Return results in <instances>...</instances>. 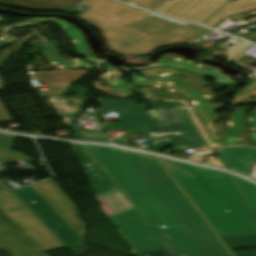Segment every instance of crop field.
Listing matches in <instances>:
<instances>
[{"label":"crop field","instance_id":"obj_1","mask_svg":"<svg viewBox=\"0 0 256 256\" xmlns=\"http://www.w3.org/2000/svg\"><path fill=\"white\" fill-rule=\"evenodd\" d=\"M92 9L79 17L104 28L109 47L122 53L148 54L154 47L206 36L214 31L121 5L109 0L84 2Z\"/></svg>","mask_w":256,"mask_h":256},{"label":"crop field","instance_id":"obj_2","mask_svg":"<svg viewBox=\"0 0 256 256\" xmlns=\"http://www.w3.org/2000/svg\"><path fill=\"white\" fill-rule=\"evenodd\" d=\"M158 158L219 236L256 234V219L226 173Z\"/></svg>","mask_w":256,"mask_h":256},{"label":"crop field","instance_id":"obj_3","mask_svg":"<svg viewBox=\"0 0 256 256\" xmlns=\"http://www.w3.org/2000/svg\"><path fill=\"white\" fill-rule=\"evenodd\" d=\"M83 147L181 256H209L120 149ZM163 225L167 228L162 229Z\"/></svg>","mask_w":256,"mask_h":256},{"label":"crop field","instance_id":"obj_4","mask_svg":"<svg viewBox=\"0 0 256 256\" xmlns=\"http://www.w3.org/2000/svg\"><path fill=\"white\" fill-rule=\"evenodd\" d=\"M121 150L202 244L210 256L230 255L202 216L154 156Z\"/></svg>","mask_w":256,"mask_h":256},{"label":"crop field","instance_id":"obj_5","mask_svg":"<svg viewBox=\"0 0 256 256\" xmlns=\"http://www.w3.org/2000/svg\"><path fill=\"white\" fill-rule=\"evenodd\" d=\"M147 149L160 152L173 146L176 152L207 146L183 106L178 102L149 101Z\"/></svg>","mask_w":256,"mask_h":256},{"label":"crop field","instance_id":"obj_6","mask_svg":"<svg viewBox=\"0 0 256 256\" xmlns=\"http://www.w3.org/2000/svg\"><path fill=\"white\" fill-rule=\"evenodd\" d=\"M11 191L75 256L83 253V237L32 186Z\"/></svg>","mask_w":256,"mask_h":256},{"label":"crop field","instance_id":"obj_7","mask_svg":"<svg viewBox=\"0 0 256 256\" xmlns=\"http://www.w3.org/2000/svg\"><path fill=\"white\" fill-rule=\"evenodd\" d=\"M108 217L133 248L131 255L170 247L136 208Z\"/></svg>","mask_w":256,"mask_h":256},{"label":"crop field","instance_id":"obj_8","mask_svg":"<svg viewBox=\"0 0 256 256\" xmlns=\"http://www.w3.org/2000/svg\"><path fill=\"white\" fill-rule=\"evenodd\" d=\"M105 107H116L119 123L104 125L101 131L127 130L128 134L146 133V105H134V100H111L97 98Z\"/></svg>","mask_w":256,"mask_h":256},{"label":"crop field","instance_id":"obj_9","mask_svg":"<svg viewBox=\"0 0 256 256\" xmlns=\"http://www.w3.org/2000/svg\"><path fill=\"white\" fill-rule=\"evenodd\" d=\"M3 249L13 256H47L4 212L0 214V250Z\"/></svg>","mask_w":256,"mask_h":256},{"label":"crop field","instance_id":"obj_10","mask_svg":"<svg viewBox=\"0 0 256 256\" xmlns=\"http://www.w3.org/2000/svg\"><path fill=\"white\" fill-rule=\"evenodd\" d=\"M227 0H167L154 12L175 19L200 23Z\"/></svg>","mask_w":256,"mask_h":256},{"label":"crop field","instance_id":"obj_11","mask_svg":"<svg viewBox=\"0 0 256 256\" xmlns=\"http://www.w3.org/2000/svg\"><path fill=\"white\" fill-rule=\"evenodd\" d=\"M32 186L73 228L83 237L85 236L87 225L79 219L75 204L52 179L32 184Z\"/></svg>","mask_w":256,"mask_h":256},{"label":"crop field","instance_id":"obj_12","mask_svg":"<svg viewBox=\"0 0 256 256\" xmlns=\"http://www.w3.org/2000/svg\"><path fill=\"white\" fill-rule=\"evenodd\" d=\"M7 214L37 243L44 252L64 247V245L25 208L7 212Z\"/></svg>","mask_w":256,"mask_h":256},{"label":"crop field","instance_id":"obj_13","mask_svg":"<svg viewBox=\"0 0 256 256\" xmlns=\"http://www.w3.org/2000/svg\"><path fill=\"white\" fill-rule=\"evenodd\" d=\"M88 71L89 70L34 72L30 74V78L36 79V82L49 83L52 91L39 94L42 97H51L59 96L68 89L73 81L81 79Z\"/></svg>","mask_w":256,"mask_h":256},{"label":"crop field","instance_id":"obj_14","mask_svg":"<svg viewBox=\"0 0 256 256\" xmlns=\"http://www.w3.org/2000/svg\"><path fill=\"white\" fill-rule=\"evenodd\" d=\"M71 145L79 157L96 195L118 190V187L116 188L110 181L111 179L109 180L80 145Z\"/></svg>","mask_w":256,"mask_h":256},{"label":"crop field","instance_id":"obj_15","mask_svg":"<svg viewBox=\"0 0 256 256\" xmlns=\"http://www.w3.org/2000/svg\"><path fill=\"white\" fill-rule=\"evenodd\" d=\"M227 168L249 174L256 161V149L232 147L215 149Z\"/></svg>","mask_w":256,"mask_h":256},{"label":"crop field","instance_id":"obj_16","mask_svg":"<svg viewBox=\"0 0 256 256\" xmlns=\"http://www.w3.org/2000/svg\"><path fill=\"white\" fill-rule=\"evenodd\" d=\"M59 116L63 118V123L70 126L71 119L81 110L87 98L79 97H51L49 98Z\"/></svg>","mask_w":256,"mask_h":256},{"label":"crop field","instance_id":"obj_17","mask_svg":"<svg viewBox=\"0 0 256 256\" xmlns=\"http://www.w3.org/2000/svg\"><path fill=\"white\" fill-rule=\"evenodd\" d=\"M253 9H256V0H238L236 2H228L203 24L213 27L221 19Z\"/></svg>","mask_w":256,"mask_h":256},{"label":"crop field","instance_id":"obj_18","mask_svg":"<svg viewBox=\"0 0 256 256\" xmlns=\"http://www.w3.org/2000/svg\"><path fill=\"white\" fill-rule=\"evenodd\" d=\"M14 137L0 133V162L32 159L24 154L10 151Z\"/></svg>","mask_w":256,"mask_h":256},{"label":"crop field","instance_id":"obj_19","mask_svg":"<svg viewBox=\"0 0 256 256\" xmlns=\"http://www.w3.org/2000/svg\"><path fill=\"white\" fill-rule=\"evenodd\" d=\"M228 248L256 246V235L221 237ZM231 250V249H230ZM232 252V251H231ZM233 253V252H232ZM235 256H256V252L235 254Z\"/></svg>","mask_w":256,"mask_h":256},{"label":"crop field","instance_id":"obj_20","mask_svg":"<svg viewBox=\"0 0 256 256\" xmlns=\"http://www.w3.org/2000/svg\"><path fill=\"white\" fill-rule=\"evenodd\" d=\"M231 179L234 181L247 203L256 215V185L246 182L240 178L230 175Z\"/></svg>","mask_w":256,"mask_h":256},{"label":"crop field","instance_id":"obj_21","mask_svg":"<svg viewBox=\"0 0 256 256\" xmlns=\"http://www.w3.org/2000/svg\"><path fill=\"white\" fill-rule=\"evenodd\" d=\"M74 132L79 136L78 139L83 140H94V141H105L109 142L98 130L80 128L72 125Z\"/></svg>","mask_w":256,"mask_h":256},{"label":"crop field","instance_id":"obj_22","mask_svg":"<svg viewBox=\"0 0 256 256\" xmlns=\"http://www.w3.org/2000/svg\"><path fill=\"white\" fill-rule=\"evenodd\" d=\"M23 206L8 190H0V207L6 211Z\"/></svg>","mask_w":256,"mask_h":256},{"label":"crop field","instance_id":"obj_23","mask_svg":"<svg viewBox=\"0 0 256 256\" xmlns=\"http://www.w3.org/2000/svg\"><path fill=\"white\" fill-rule=\"evenodd\" d=\"M122 1L151 9L162 0H122Z\"/></svg>","mask_w":256,"mask_h":256},{"label":"crop field","instance_id":"obj_24","mask_svg":"<svg viewBox=\"0 0 256 256\" xmlns=\"http://www.w3.org/2000/svg\"><path fill=\"white\" fill-rule=\"evenodd\" d=\"M136 256H178L175 251L170 247L163 250H158L154 252L144 253Z\"/></svg>","mask_w":256,"mask_h":256},{"label":"crop field","instance_id":"obj_25","mask_svg":"<svg viewBox=\"0 0 256 256\" xmlns=\"http://www.w3.org/2000/svg\"><path fill=\"white\" fill-rule=\"evenodd\" d=\"M3 86H0V90L3 89ZM12 120L11 117L9 116L8 112L6 111V109L2 106L1 102H0V123L2 122H6Z\"/></svg>","mask_w":256,"mask_h":256},{"label":"crop field","instance_id":"obj_26","mask_svg":"<svg viewBox=\"0 0 256 256\" xmlns=\"http://www.w3.org/2000/svg\"><path fill=\"white\" fill-rule=\"evenodd\" d=\"M207 162H208V164H210V165L222 167L221 164L218 162V160H210V161H207Z\"/></svg>","mask_w":256,"mask_h":256},{"label":"crop field","instance_id":"obj_27","mask_svg":"<svg viewBox=\"0 0 256 256\" xmlns=\"http://www.w3.org/2000/svg\"><path fill=\"white\" fill-rule=\"evenodd\" d=\"M191 160H194V161H198V162H202L204 163V161L202 160V158H199V157H192Z\"/></svg>","mask_w":256,"mask_h":256},{"label":"crop field","instance_id":"obj_28","mask_svg":"<svg viewBox=\"0 0 256 256\" xmlns=\"http://www.w3.org/2000/svg\"><path fill=\"white\" fill-rule=\"evenodd\" d=\"M4 20H3V18H2V16H0V22H3Z\"/></svg>","mask_w":256,"mask_h":256},{"label":"crop field","instance_id":"obj_29","mask_svg":"<svg viewBox=\"0 0 256 256\" xmlns=\"http://www.w3.org/2000/svg\"><path fill=\"white\" fill-rule=\"evenodd\" d=\"M0 84H2V81H1V79H0Z\"/></svg>","mask_w":256,"mask_h":256}]
</instances>
